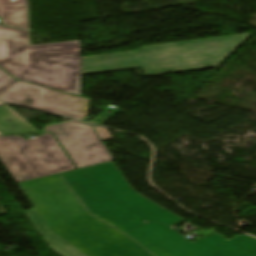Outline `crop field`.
<instances>
[{
  "instance_id": "8a807250",
  "label": "crop field",
  "mask_w": 256,
  "mask_h": 256,
  "mask_svg": "<svg viewBox=\"0 0 256 256\" xmlns=\"http://www.w3.org/2000/svg\"><path fill=\"white\" fill-rule=\"evenodd\" d=\"M17 184L49 230L86 256H153L88 214L58 174Z\"/></svg>"
},
{
  "instance_id": "ac0d7876",
  "label": "crop field",
  "mask_w": 256,
  "mask_h": 256,
  "mask_svg": "<svg viewBox=\"0 0 256 256\" xmlns=\"http://www.w3.org/2000/svg\"><path fill=\"white\" fill-rule=\"evenodd\" d=\"M60 175L92 214L124 232L146 220L184 221L135 192L112 162Z\"/></svg>"
},
{
  "instance_id": "34b2d1b8",
  "label": "crop field",
  "mask_w": 256,
  "mask_h": 256,
  "mask_svg": "<svg viewBox=\"0 0 256 256\" xmlns=\"http://www.w3.org/2000/svg\"><path fill=\"white\" fill-rule=\"evenodd\" d=\"M0 66L16 79L81 96L79 40L28 46V31L0 26Z\"/></svg>"
},
{
  "instance_id": "412701ff",
  "label": "crop field",
  "mask_w": 256,
  "mask_h": 256,
  "mask_svg": "<svg viewBox=\"0 0 256 256\" xmlns=\"http://www.w3.org/2000/svg\"><path fill=\"white\" fill-rule=\"evenodd\" d=\"M171 227L149 222L126 233L156 256H256V239L251 237L227 241L215 233L191 243Z\"/></svg>"
},
{
  "instance_id": "f4fd0767",
  "label": "crop field",
  "mask_w": 256,
  "mask_h": 256,
  "mask_svg": "<svg viewBox=\"0 0 256 256\" xmlns=\"http://www.w3.org/2000/svg\"><path fill=\"white\" fill-rule=\"evenodd\" d=\"M0 160L16 183L75 169L51 133L29 141L0 136Z\"/></svg>"
},
{
  "instance_id": "dd49c442",
  "label": "crop field",
  "mask_w": 256,
  "mask_h": 256,
  "mask_svg": "<svg viewBox=\"0 0 256 256\" xmlns=\"http://www.w3.org/2000/svg\"><path fill=\"white\" fill-rule=\"evenodd\" d=\"M0 100L80 121L86 117L89 108L88 99L22 81L3 92Z\"/></svg>"
},
{
  "instance_id": "e52e79f7",
  "label": "crop field",
  "mask_w": 256,
  "mask_h": 256,
  "mask_svg": "<svg viewBox=\"0 0 256 256\" xmlns=\"http://www.w3.org/2000/svg\"><path fill=\"white\" fill-rule=\"evenodd\" d=\"M47 131L54 133L77 168L113 160L91 126L71 121L51 125Z\"/></svg>"
},
{
  "instance_id": "d8731c3e",
  "label": "crop field",
  "mask_w": 256,
  "mask_h": 256,
  "mask_svg": "<svg viewBox=\"0 0 256 256\" xmlns=\"http://www.w3.org/2000/svg\"><path fill=\"white\" fill-rule=\"evenodd\" d=\"M24 213L39 232V234L47 242L52 251L60 256H85L56 235L52 234L45 226L35 209L25 211Z\"/></svg>"
},
{
  "instance_id": "5a996713",
  "label": "crop field",
  "mask_w": 256,
  "mask_h": 256,
  "mask_svg": "<svg viewBox=\"0 0 256 256\" xmlns=\"http://www.w3.org/2000/svg\"><path fill=\"white\" fill-rule=\"evenodd\" d=\"M0 19L3 25L28 30L27 0H0Z\"/></svg>"
},
{
  "instance_id": "3316defc",
  "label": "crop field",
  "mask_w": 256,
  "mask_h": 256,
  "mask_svg": "<svg viewBox=\"0 0 256 256\" xmlns=\"http://www.w3.org/2000/svg\"><path fill=\"white\" fill-rule=\"evenodd\" d=\"M39 132L8 106L0 109V133L3 135Z\"/></svg>"
},
{
  "instance_id": "28ad6ade",
  "label": "crop field",
  "mask_w": 256,
  "mask_h": 256,
  "mask_svg": "<svg viewBox=\"0 0 256 256\" xmlns=\"http://www.w3.org/2000/svg\"><path fill=\"white\" fill-rule=\"evenodd\" d=\"M16 81L17 80L13 79L7 73L0 69V94Z\"/></svg>"
},
{
  "instance_id": "d1516ede",
  "label": "crop field",
  "mask_w": 256,
  "mask_h": 256,
  "mask_svg": "<svg viewBox=\"0 0 256 256\" xmlns=\"http://www.w3.org/2000/svg\"><path fill=\"white\" fill-rule=\"evenodd\" d=\"M97 133L99 134V136L101 137L102 141L105 140H111L112 137L110 136L109 132L107 131V129L104 128H100V127H95Z\"/></svg>"
},
{
  "instance_id": "22f410ed",
  "label": "crop field",
  "mask_w": 256,
  "mask_h": 256,
  "mask_svg": "<svg viewBox=\"0 0 256 256\" xmlns=\"http://www.w3.org/2000/svg\"><path fill=\"white\" fill-rule=\"evenodd\" d=\"M1 104H3V103H0V105H1ZM0 135H2V134H0Z\"/></svg>"
},
{
  "instance_id": "cbeb9de0",
  "label": "crop field",
  "mask_w": 256,
  "mask_h": 256,
  "mask_svg": "<svg viewBox=\"0 0 256 256\" xmlns=\"http://www.w3.org/2000/svg\"><path fill=\"white\" fill-rule=\"evenodd\" d=\"M5 105V104H4ZM3 106V105H2Z\"/></svg>"
}]
</instances>
